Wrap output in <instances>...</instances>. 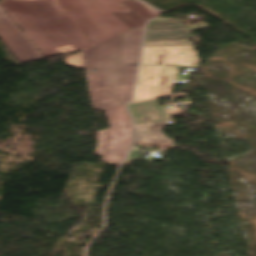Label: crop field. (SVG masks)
Returning a JSON list of instances; mask_svg holds the SVG:
<instances>
[{"instance_id": "8a807250", "label": "crop field", "mask_w": 256, "mask_h": 256, "mask_svg": "<svg viewBox=\"0 0 256 256\" xmlns=\"http://www.w3.org/2000/svg\"><path fill=\"white\" fill-rule=\"evenodd\" d=\"M0 4L45 58L92 46L54 0H1Z\"/></svg>"}, {"instance_id": "ac0d7876", "label": "crop field", "mask_w": 256, "mask_h": 256, "mask_svg": "<svg viewBox=\"0 0 256 256\" xmlns=\"http://www.w3.org/2000/svg\"><path fill=\"white\" fill-rule=\"evenodd\" d=\"M122 36L123 33L65 59L70 66L86 68L93 111L122 104L115 73Z\"/></svg>"}, {"instance_id": "34b2d1b8", "label": "crop field", "mask_w": 256, "mask_h": 256, "mask_svg": "<svg viewBox=\"0 0 256 256\" xmlns=\"http://www.w3.org/2000/svg\"><path fill=\"white\" fill-rule=\"evenodd\" d=\"M95 45L130 30L111 12H133L121 2L127 0H55Z\"/></svg>"}, {"instance_id": "412701ff", "label": "crop field", "mask_w": 256, "mask_h": 256, "mask_svg": "<svg viewBox=\"0 0 256 256\" xmlns=\"http://www.w3.org/2000/svg\"><path fill=\"white\" fill-rule=\"evenodd\" d=\"M104 111L111 129L96 132V155H102L103 161H121L132 146L131 121L123 105ZM111 134H115V141H110Z\"/></svg>"}, {"instance_id": "f4fd0767", "label": "crop field", "mask_w": 256, "mask_h": 256, "mask_svg": "<svg viewBox=\"0 0 256 256\" xmlns=\"http://www.w3.org/2000/svg\"><path fill=\"white\" fill-rule=\"evenodd\" d=\"M208 28L202 21L185 27L179 20L166 21L165 18H157L148 23L147 32L143 46H193L188 42L189 38L193 41H200L190 35L191 31Z\"/></svg>"}, {"instance_id": "dd49c442", "label": "crop field", "mask_w": 256, "mask_h": 256, "mask_svg": "<svg viewBox=\"0 0 256 256\" xmlns=\"http://www.w3.org/2000/svg\"><path fill=\"white\" fill-rule=\"evenodd\" d=\"M143 31L132 29L125 34L117 70L120 74L118 87L124 103H128L131 97Z\"/></svg>"}, {"instance_id": "e52e79f7", "label": "crop field", "mask_w": 256, "mask_h": 256, "mask_svg": "<svg viewBox=\"0 0 256 256\" xmlns=\"http://www.w3.org/2000/svg\"><path fill=\"white\" fill-rule=\"evenodd\" d=\"M0 39L20 63L43 58L1 7Z\"/></svg>"}, {"instance_id": "d8731c3e", "label": "crop field", "mask_w": 256, "mask_h": 256, "mask_svg": "<svg viewBox=\"0 0 256 256\" xmlns=\"http://www.w3.org/2000/svg\"><path fill=\"white\" fill-rule=\"evenodd\" d=\"M128 107L135 123L144 122V117L148 118L149 122L165 121L168 119L164 108L159 106L156 100L130 104Z\"/></svg>"}, {"instance_id": "5a996713", "label": "crop field", "mask_w": 256, "mask_h": 256, "mask_svg": "<svg viewBox=\"0 0 256 256\" xmlns=\"http://www.w3.org/2000/svg\"><path fill=\"white\" fill-rule=\"evenodd\" d=\"M164 126L165 123L142 124L135 126L136 141L172 146L173 141L165 138L164 134L159 130Z\"/></svg>"}, {"instance_id": "3316defc", "label": "crop field", "mask_w": 256, "mask_h": 256, "mask_svg": "<svg viewBox=\"0 0 256 256\" xmlns=\"http://www.w3.org/2000/svg\"><path fill=\"white\" fill-rule=\"evenodd\" d=\"M127 7H129L131 10H133L135 13L140 15L142 18H144L146 21L157 16L158 12L155 10L149 11L146 6H144L142 3L131 0L127 2H123Z\"/></svg>"}, {"instance_id": "28ad6ade", "label": "crop field", "mask_w": 256, "mask_h": 256, "mask_svg": "<svg viewBox=\"0 0 256 256\" xmlns=\"http://www.w3.org/2000/svg\"><path fill=\"white\" fill-rule=\"evenodd\" d=\"M131 28H144L146 23L140 16L135 13H113ZM114 15V16H115Z\"/></svg>"}]
</instances>
